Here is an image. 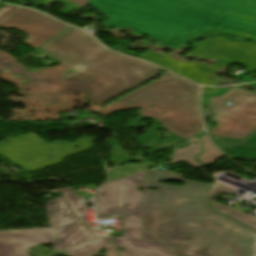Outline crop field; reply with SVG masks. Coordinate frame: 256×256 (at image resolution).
Masks as SVG:
<instances>
[{"label":"crop field","mask_w":256,"mask_h":256,"mask_svg":"<svg viewBox=\"0 0 256 256\" xmlns=\"http://www.w3.org/2000/svg\"><path fill=\"white\" fill-rule=\"evenodd\" d=\"M184 177L170 170L145 171L140 238L159 241L176 256H253L256 232L211 210L210 185ZM161 180L185 184L169 186Z\"/></svg>","instance_id":"8a807250"},{"label":"crop field","mask_w":256,"mask_h":256,"mask_svg":"<svg viewBox=\"0 0 256 256\" xmlns=\"http://www.w3.org/2000/svg\"><path fill=\"white\" fill-rule=\"evenodd\" d=\"M109 18L170 46L211 29L256 40V0H90Z\"/></svg>","instance_id":"34b2d1b8"},{"label":"crop field","mask_w":256,"mask_h":256,"mask_svg":"<svg viewBox=\"0 0 256 256\" xmlns=\"http://www.w3.org/2000/svg\"><path fill=\"white\" fill-rule=\"evenodd\" d=\"M144 171L109 181L97 191L98 216L119 214L126 222L123 224L125 236L139 238L143 192Z\"/></svg>","instance_id":"e52e79f7"},{"label":"crop field","mask_w":256,"mask_h":256,"mask_svg":"<svg viewBox=\"0 0 256 256\" xmlns=\"http://www.w3.org/2000/svg\"><path fill=\"white\" fill-rule=\"evenodd\" d=\"M46 203L51 229L1 231L0 256H28L29 248L45 243H52L53 250L59 252L94 239L71 213L62 197Z\"/></svg>","instance_id":"f4fd0767"},{"label":"crop field","mask_w":256,"mask_h":256,"mask_svg":"<svg viewBox=\"0 0 256 256\" xmlns=\"http://www.w3.org/2000/svg\"><path fill=\"white\" fill-rule=\"evenodd\" d=\"M0 121H2V119H0Z\"/></svg>","instance_id":"a9b5d70f"},{"label":"crop field","mask_w":256,"mask_h":256,"mask_svg":"<svg viewBox=\"0 0 256 256\" xmlns=\"http://www.w3.org/2000/svg\"><path fill=\"white\" fill-rule=\"evenodd\" d=\"M70 1H72V2H74L76 4H79V5L83 6V7H85L88 4V2H89V0H70Z\"/></svg>","instance_id":"dafd665d"},{"label":"crop field","mask_w":256,"mask_h":256,"mask_svg":"<svg viewBox=\"0 0 256 256\" xmlns=\"http://www.w3.org/2000/svg\"><path fill=\"white\" fill-rule=\"evenodd\" d=\"M141 59L150 61L194 82L210 86H216L213 81L217 78L212 75L225 66L224 63H217L211 67L208 64L200 62H181L174 60L163 53L154 52L143 56Z\"/></svg>","instance_id":"28ad6ade"},{"label":"crop field","mask_w":256,"mask_h":256,"mask_svg":"<svg viewBox=\"0 0 256 256\" xmlns=\"http://www.w3.org/2000/svg\"><path fill=\"white\" fill-rule=\"evenodd\" d=\"M190 52L191 55L228 58L231 61L256 71V44L231 42L221 37L204 40Z\"/></svg>","instance_id":"3316defc"},{"label":"crop field","mask_w":256,"mask_h":256,"mask_svg":"<svg viewBox=\"0 0 256 256\" xmlns=\"http://www.w3.org/2000/svg\"><path fill=\"white\" fill-rule=\"evenodd\" d=\"M239 188L240 187H233L228 183L214 181L213 185L208 190V194H209V198H210L212 207H213V209L234 218L235 220L239 221L240 223H242L256 231V218L255 217L248 215V214H244L234 208L223 206V205L217 204L212 201L213 197L218 192H224V193L230 194Z\"/></svg>","instance_id":"cbeb9de0"},{"label":"crop field","mask_w":256,"mask_h":256,"mask_svg":"<svg viewBox=\"0 0 256 256\" xmlns=\"http://www.w3.org/2000/svg\"><path fill=\"white\" fill-rule=\"evenodd\" d=\"M7 141L0 143V155L28 173L57 164L63 161L65 156L93 147L87 138H81L75 143L56 141L47 144L34 133H27ZM76 146L79 148L74 149L73 147Z\"/></svg>","instance_id":"dd49c442"},{"label":"crop field","mask_w":256,"mask_h":256,"mask_svg":"<svg viewBox=\"0 0 256 256\" xmlns=\"http://www.w3.org/2000/svg\"><path fill=\"white\" fill-rule=\"evenodd\" d=\"M161 164H163V163H161ZM157 165H160V164H157ZM157 165L147 161V162H144L141 164H131V165H127V166H119L117 168L110 170L108 173L110 176V180L120 179L124 176H128L133 173L141 172L143 170L149 169V168L157 166Z\"/></svg>","instance_id":"4a817a6b"},{"label":"crop field","mask_w":256,"mask_h":256,"mask_svg":"<svg viewBox=\"0 0 256 256\" xmlns=\"http://www.w3.org/2000/svg\"><path fill=\"white\" fill-rule=\"evenodd\" d=\"M42 49L50 51L62 64L28 72L16 63L7 70L15 78L23 73L29 81L22 85L44 105L84 92L90 96L85 100L100 105L148 81L158 72V68L145 62L104 49L90 35L73 27ZM68 68L80 73L62 79Z\"/></svg>","instance_id":"ac0d7876"},{"label":"crop field","mask_w":256,"mask_h":256,"mask_svg":"<svg viewBox=\"0 0 256 256\" xmlns=\"http://www.w3.org/2000/svg\"><path fill=\"white\" fill-rule=\"evenodd\" d=\"M198 94L197 85L167 72L159 80L129 95L126 94L127 96L124 95L120 101L97 113L105 117L118 110L141 108L142 110L138 111L139 116L128 126L141 127L144 126L140 124L141 119H154V125L139 136L138 141L144 147L155 151L178 144L200 132L202 124L197 106ZM150 105L154 107L150 108ZM160 122L162 126L157 125ZM162 127L169 131V135H157V130ZM162 137L166 139L163 140Z\"/></svg>","instance_id":"412701ff"},{"label":"crop field","mask_w":256,"mask_h":256,"mask_svg":"<svg viewBox=\"0 0 256 256\" xmlns=\"http://www.w3.org/2000/svg\"><path fill=\"white\" fill-rule=\"evenodd\" d=\"M61 191L63 196L65 197L66 201L70 205L71 209L74 211V213L78 216V218L87 226V211L84 203V199L82 196H77L75 192L72 190V188L68 189H61V190H54L52 192ZM89 227V226H88ZM90 229V228H89ZM92 229V228H91ZM90 229V230H91ZM92 233L99 237L100 235L91 230Z\"/></svg>","instance_id":"733c2abd"},{"label":"crop field","mask_w":256,"mask_h":256,"mask_svg":"<svg viewBox=\"0 0 256 256\" xmlns=\"http://www.w3.org/2000/svg\"><path fill=\"white\" fill-rule=\"evenodd\" d=\"M101 248L107 249V255L110 256V253L113 256H118L115 250L110 245L108 237H102L100 239H96L89 243L83 244L81 246L72 248L70 250L65 251L66 254L72 256H92L93 254H98ZM103 255V254H101Z\"/></svg>","instance_id":"5142ce71"},{"label":"crop field","mask_w":256,"mask_h":256,"mask_svg":"<svg viewBox=\"0 0 256 256\" xmlns=\"http://www.w3.org/2000/svg\"><path fill=\"white\" fill-rule=\"evenodd\" d=\"M16 7L7 6L0 10V20L11 14L13 11H15ZM17 61L13 59L8 54L1 52L0 53V73L7 69L12 64L16 63Z\"/></svg>","instance_id":"214f88e0"},{"label":"crop field","mask_w":256,"mask_h":256,"mask_svg":"<svg viewBox=\"0 0 256 256\" xmlns=\"http://www.w3.org/2000/svg\"><path fill=\"white\" fill-rule=\"evenodd\" d=\"M0 27L23 30L30 36L25 43L37 48L68 26L39 12L20 8L1 22Z\"/></svg>","instance_id":"5a996713"},{"label":"crop field","mask_w":256,"mask_h":256,"mask_svg":"<svg viewBox=\"0 0 256 256\" xmlns=\"http://www.w3.org/2000/svg\"><path fill=\"white\" fill-rule=\"evenodd\" d=\"M218 88H210V87H204L203 88V91H202V95H205V94H207V93H209V92H212V91H214V90H217Z\"/></svg>","instance_id":"00972430"},{"label":"crop field","mask_w":256,"mask_h":256,"mask_svg":"<svg viewBox=\"0 0 256 256\" xmlns=\"http://www.w3.org/2000/svg\"><path fill=\"white\" fill-rule=\"evenodd\" d=\"M210 137L229 158L256 160V130L245 140L214 135H210Z\"/></svg>","instance_id":"d1516ede"},{"label":"crop field","mask_w":256,"mask_h":256,"mask_svg":"<svg viewBox=\"0 0 256 256\" xmlns=\"http://www.w3.org/2000/svg\"><path fill=\"white\" fill-rule=\"evenodd\" d=\"M192 141H197L199 144L193 145ZM189 143L191 145L184 149H178L176 147L172 157V164L185 161L191 166V168H201L202 165L195 161V155L202 153L200 139L195 137L194 139L189 141Z\"/></svg>","instance_id":"d9b57169"},{"label":"crop field","mask_w":256,"mask_h":256,"mask_svg":"<svg viewBox=\"0 0 256 256\" xmlns=\"http://www.w3.org/2000/svg\"><path fill=\"white\" fill-rule=\"evenodd\" d=\"M209 103L215 113L212 119L218 124L210 134L245 139L256 129V93L230 89L222 96L211 97Z\"/></svg>","instance_id":"d8731c3e"},{"label":"crop field","mask_w":256,"mask_h":256,"mask_svg":"<svg viewBox=\"0 0 256 256\" xmlns=\"http://www.w3.org/2000/svg\"><path fill=\"white\" fill-rule=\"evenodd\" d=\"M106 141L113 150L110 153L112 154V156L114 158L109 159V161L112 162L114 165L122 163V162L130 160V159H133L132 157H130L124 153V151L121 149V147L115 141V139L110 138V139H107Z\"/></svg>","instance_id":"92a150f3"},{"label":"crop field","mask_w":256,"mask_h":256,"mask_svg":"<svg viewBox=\"0 0 256 256\" xmlns=\"http://www.w3.org/2000/svg\"><path fill=\"white\" fill-rule=\"evenodd\" d=\"M110 237L115 244L127 249L126 251H120L121 256H175L159 242L125 236L121 238Z\"/></svg>","instance_id":"22f410ed"},{"label":"crop field","mask_w":256,"mask_h":256,"mask_svg":"<svg viewBox=\"0 0 256 256\" xmlns=\"http://www.w3.org/2000/svg\"><path fill=\"white\" fill-rule=\"evenodd\" d=\"M204 153L197 156L202 165H211L219 158L223 157L209 142L207 137H201Z\"/></svg>","instance_id":"bc2a9ffb"}]
</instances>
